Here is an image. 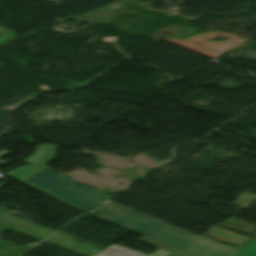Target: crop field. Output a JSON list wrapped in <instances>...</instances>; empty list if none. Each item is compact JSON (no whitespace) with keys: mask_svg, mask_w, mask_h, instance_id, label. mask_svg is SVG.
<instances>
[{"mask_svg":"<svg viewBox=\"0 0 256 256\" xmlns=\"http://www.w3.org/2000/svg\"><path fill=\"white\" fill-rule=\"evenodd\" d=\"M256 236L234 256H256Z\"/></svg>","mask_w":256,"mask_h":256,"instance_id":"obj_7","label":"crop field"},{"mask_svg":"<svg viewBox=\"0 0 256 256\" xmlns=\"http://www.w3.org/2000/svg\"><path fill=\"white\" fill-rule=\"evenodd\" d=\"M49 241H53L60 246H63L74 252H77L86 256H95L102 251L100 249H97L87 244H84L82 242L76 241L74 239L61 235L59 233L52 236V238ZM96 249L99 251H95ZM91 251H95V252L93 253Z\"/></svg>","mask_w":256,"mask_h":256,"instance_id":"obj_4","label":"crop field"},{"mask_svg":"<svg viewBox=\"0 0 256 256\" xmlns=\"http://www.w3.org/2000/svg\"><path fill=\"white\" fill-rule=\"evenodd\" d=\"M21 183L80 212L89 211L111 197L92 187L80 185L46 167Z\"/></svg>","mask_w":256,"mask_h":256,"instance_id":"obj_2","label":"crop field"},{"mask_svg":"<svg viewBox=\"0 0 256 256\" xmlns=\"http://www.w3.org/2000/svg\"><path fill=\"white\" fill-rule=\"evenodd\" d=\"M247 225H249L253 228L251 230L247 231V230L244 229ZM219 226L226 227V228H229V229H233V230H236V231H239V232H243V233H246V234L251 235V236L256 235V225H253V224H250V223H247V222H243V221H239V220H235V219H231V218L225 220L224 222L219 224Z\"/></svg>","mask_w":256,"mask_h":256,"instance_id":"obj_5","label":"crop field"},{"mask_svg":"<svg viewBox=\"0 0 256 256\" xmlns=\"http://www.w3.org/2000/svg\"><path fill=\"white\" fill-rule=\"evenodd\" d=\"M138 241H141L143 243L152 245V246L160 249L159 251L155 252L154 254H152L150 256H165L175 250L173 248H170L168 246L160 244V243L153 241L151 239H148L146 237H143V238L139 239ZM98 256H148V255H145V254L112 244L106 250L101 252Z\"/></svg>","mask_w":256,"mask_h":256,"instance_id":"obj_3","label":"crop field"},{"mask_svg":"<svg viewBox=\"0 0 256 256\" xmlns=\"http://www.w3.org/2000/svg\"><path fill=\"white\" fill-rule=\"evenodd\" d=\"M37 170L33 169L32 167L26 165L24 167H20V168H16L15 170H13L12 172L8 173L7 175L20 180L26 176H28L29 174L35 172Z\"/></svg>","mask_w":256,"mask_h":256,"instance_id":"obj_6","label":"crop field"},{"mask_svg":"<svg viewBox=\"0 0 256 256\" xmlns=\"http://www.w3.org/2000/svg\"><path fill=\"white\" fill-rule=\"evenodd\" d=\"M2 33H0V35H1Z\"/></svg>","mask_w":256,"mask_h":256,"instance_id":"obj_9","label":"crop field"},{"mask_svg":"<svg viewBox=\"0 0 256 256\" xmlns=\"http://www.w3.org/2000/svg\"><path fill=\"white\" fill-rule=\"evenodd\" d=\"M90 215L177 249L167 256H233L239 251L111 201Z\"/></svg>","mask_w":256,"mask_h":256,"instance_id":"obj_1","label":"crop field"},{"mask_svg":"<svg viewBox=\"0 0 256 256\" xmlns=\"http://www.w3.org/2000/svg\"><path fill=\"white\" fill-rule=\"evenodd\" d=\"M4 185H0V188L3 187Z\"/></svg>","mask_w":256,"mask_h":256,"instance_id":"obj_8","label":"crop field"}]
</instances>
